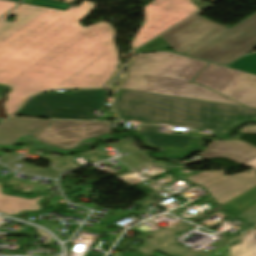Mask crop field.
Segmentation results:
<instances>
[{"label":"crop field","mask_w":256,"mask_h":256,"mask_svg":"<svg viewBox=\"0 0 256 256\" xmlns=\"http://www.w3.org/2000/svg\"><path fill=\"white\" fill-rule=\"evenodd\" d=\"M168 47L170 46L159 37L135 51L138 53L156 52L163 51Z\"/></svg>","instance_id":"obj_17"},{"label":"crop field","mask_w":256,"mask_h":256,"mask_svg":"<svg viewBox=\"0 0 256 256\" xmlns=\"http://www.w3.org/2000/svg\"><path fill=\"white\" fill-rule=\"evenodd\" d=\"M97 5L84 1L66 12L20 4L0 19V85L12 88L4 103L15 111L36 92L102 87L118 61L108 23L82 27ZM16 15L12 23L3 21Z\"/></svg>","instance_id":"obj_1"},{"label":"crop field","mask_w":256,"mask_h":256,"mask_svg":"<svg viewBox=\"0 0 256 256\" xmlns=\"http://www.w3.org/2000/svg\"><path fill=\"white\" fill-rule=\"evenodd\" d=\"M199 156L204 160L210 158H230L240 164H245L256 158V147L241 141H215Z\"/></svg>","instance_id":"obj_12"},{"label":"crop field","mask_w":256,"mask_h":256,"mask_svg":"<svg viewBox=\"0 0 256 256\" xmlns=\"http://www.w3.org/2000/svg\"><path fill=\"white\" fill-rule=\"evenodd\" d=\"M256 108V76L209 64L193 81Z\"/></svg>","instance_id":"obj_6"},{"label":"crop field","mask_w":256,"mask_h":256,"mask_svg":"<svg viewBox=\"0 0 256 256\" xmlns=\"http://www.w3.org/2000/svg\"><path fill=\"white\" fill-rule=\"evenodd\" d=\"M227 29L195 15L161 36L177 53L226 65L256 48V14Z\"/></svg>","instance_id":"obj_4"},{"label":"crop field","mask_w":256,"mask_h":256,"mask_svg":"<svg viewBox=\"0 0 256 256\" xmlns=\"http://www.w3.org/2000/svg\"><path fill=\"white\" fill-rule=\"evenodd\" d=\"M158 126L141 125L137 133L145 140L146 145L164 146V156L167 158H183L192 151H198L200 134L192 130L186 136L159 134Z\"/></svg>","instance_id":"obj_10"},{"label":"crop field","mask_w":256,"mask_h":256,"mask_svg":"<svg viewBox=\"0 0 256 256\" xmlns=\"http://www.w3.org/2000/svg\"><path fill=\"white\" fill-rule=\"evenodd\" d=\"M246 172L233 176H224L223 171L202 172L188 179L203 186L221 205L256 184L254 170Z\"/></svg>","instance_id":"obj_9"},{"label":"crop field","mask_w":256,"mask_h":256,"mask_svg":"<svg viewBox=\"0 0 256 256\" xmlns=\"http://www.w3.org/2000/svg\"><path fill=\"white\" fill-rule=\"evenodd\" d=\"M236 218L252 226L256 225V205Z\"/></svg>","instance_id":"obj_19"},{"label":"crop field","mask_w":256,"mask_h":256,"mask_svg":"<svg viewBox=\"0 0 256 256\" xmlns=\"http://www.w3.org/2000/svg\"><path fill=\"white\" fill-rule=\"evenodd\" d=\"M12 1H21V0H12Z\"/></svg>","instance_id":"obj_23"},{"label":"crop field","mask_w":256,"mask_h":256,"mask_svg":"<svg viewBox=\"0 0 256 256\" xmlns=\"http://www.w3.org/2000/svg\"><path fill=\"white\" fill-rule=\"evenodd\" d=\"M240 132H251V133H256V127L243 129V130H241Z\"/></svg>","instance_id":"obj_21"},{"label":"crop field","mask_w":256,"mask_h":256,"mask_svg":"<svg viewBox=\"0 0 256 256\" xmlns=\"http://www.w3.org/2000/svg\"><path fill=\"white\" fill-rule=\"evenodd\" d=\"M72 92L73 95L39 94L14 115L92 120V109H104L106 96L103 89Z\"/></svg>","instance_id":"obj_5"},{"label":"crop field","mask_w":256,"mask_h":256,"mask_svg":"<svg viewBox=\"0 0 256 256\" xmlns=\"http://www.w3.org/2000/svg\"><path fill=\"white\" fill-rule=\"evenodd\" d=\"M207 65L208 63L169 53L135 55L127 78L119 88L242 106L189 83Z\"/></svg>","instance_id":"obj_3"},{"label":"crop field","mask_w":256,"mask_h":256,"mask_svg":"<svg viewBox=\"0 0 256 256\" xmlns=\"http://www.w3.org/2000/svg\"><path fill=\"white\" fill-rule=\"evenodd\" d=\"M240 243L231 247L232 256H256V230L239 237Z\"/></svg>","instance_id":"obj_15"},{"label":"crop field","mask_w":256,"mask_h":256,"mask_svg":"<svg viewBox=\"0 0 256 256\" xmlns=\"http://www.w3.org/2000/svg\"><path fill=\"white\" fill-rule=\"evenodd\" d=\"M228 67L256 74V54L245 56Z\"/></svg>","instance_id":"obj_16"},{"label":"crop field","mask_w":256,"mask_h":256,"mask_svg":"<svg viewBox=\"0 0 256 256\" xmlns=\"http://www.w3.org/2000/svg\"><path fill=\"white\" fill-rule=\"evenodd\" d=\"M44 197L41 196L35 199L12 197L5 195L0 190V212L13 215L21 211H38L41 208L37 202L40 198Z\"/></svg>","instance_id":"obj_13"},{"label":"crop field","mask_w":256,"mask_h":256,"mask_svg":"<svg viewBox=\"0 0 256 256\" xmlns=\"http://www.w3.org/2000/svg\"><path fill=\"white\" fill-rule=\"evenodd\" d=\"M17 3H11V2H5V1H0V16L5 14L7 11L15 7Z\"/></svg>","instance_id":"obj_20"},{"label":"crop field","mask_w":256,"mask_h":256,"mask_svg":"<svg viewBox=\"0 0 256 256\" xmlns=\"http://www.w3.org/2000/svg\"><path fill=\"white\" fill-rule=\"evenodd\" d=\"M181 3H183V2H181ZM181 3H179V4H181ZM179 4H177V5H179Z\"/></svg>","instance_id":"obj_24"},{"label":"crop field","mask_w":256,"mask_h":256,"mask_svg":"<svg viewBox=\"0 0 256 256\" xmlns=\"http://www.w3.org/2000/svg\"><path fill=\"white\" fill-rule=\"evenodd\" d=\"M256 187L222 206L235 217L256 204Z\"/></svg>","instance_id":"obj_14"},{"label":"crop field","mask_w":256,"mask_h":256,"mask_svg":"<svg viewBox=\"0 0 256 256\" xmlns=\"http://www.w3.org/2000/svg\"><path fill=\"white\" fill-rule=\"evenodd\" d=\"M245 165H248L250 167L256 168V159L251 161V162H249V163H247V164H245Z\"/></svg>","instance_id":"obj_22"},{"label":"crop field","mask_w":256,"mask_h":256,"mask_svg":"<svg viewBox=\"0 0 256 256\" xmlns=\"http://www.w3.org/2000/svg\"><path fill=\"white\" fill-rule=\"evenodd\" d=\"M53 120L17 117L0 125V145H13L21 136L34 138Z\"/></svg>","instance_id":"obj_11"},{"label":"crop field","mask_w":256,"mask_h":256,"mask_svg":"<svg viewBox=\"0 0 256 256\" xmlns=\"http://www.w3.org/2000/svg\"><path fill=\"white\" fill-rule=\"evenodd\" d=\"M110 133V122L55 120L35 139L60 150H71L78 147L84 140Z\"/></svg>","instance_id":"obj_8"},{"label":"crop field","mask_w":256,"mask_h":256,"mask_svg":"<svg viewBox=\"0 0 256 256\" xmlns=\"http://www.w3.org/2000/svg\"><path fill=\"white\" fill-rule=\"evenodd\" d=\"M30 5L66 11L72 4L49 0H32Z\"/></svg>","instance_id":"obj_18"},{"label":"crop field","mask_w":256,"mask_h":256,"mask_svg":"<svg viewBox=\"0 0 256 256\" xmlns=\"http://www.w3.org/2000/svg\"><path fill=\"white\" fill-rule=\"evenodd\" d=\"M182 1L177 6L180 0H154L144 7L145 22L132 41L133 49L199 10L191 0Z\"/></svg>","instance_id":"obj_7"},{"label":"crop field","mask_w":256,"mask_h":256,"mask_svg":"<svg viewBox=\"0 0 256 256\" xmlns=\"http://www.w3.org/2000/svg\"><path fill=\"white\" fill-rule=\"evenodd\" d=\"M112 107L121 119L168 123L225 133L228 127L256 119V109L158 96L119 89Z\"/></svg>","instance_id":"obj_2"}]
</instances>
